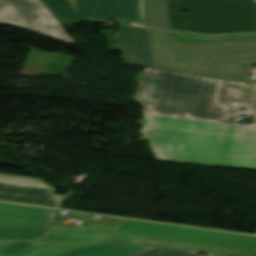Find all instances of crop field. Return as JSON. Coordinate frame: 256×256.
Returning a JSON list of instances; mask_svg holds the SVG:
<instances>
[{
    "label": "crop field",
    "instance_id": "8a807250",
    "mask_svg": "<svg viewBox=\"0 0 256 256\" xmlns=\"http://www.w3.org/2000/svg\"><path fill=\"white\" fill-rule=\"evenodd\" d=\"M226 85L249 84L144 69L136 101L144 105L140 134L157 160L256 170V128L234 126L235 112L221 100ZM179 114L186 119H177Z\"/></svg>",
    "mask_w": 256,
    "mask_h": 256
},
{
    "label": "crop field",
    "instance_id": "ac0d7876",
    "mask_svg": "<svg viewBox=\"0 0 256 256\" xmlns=\"http://www.w3.org/2000/svg\"><path fill=\"white\" fill-rule=\"evenodd\" d=\"M118 30L123 64L254 83L247 67L256 64V41L171 45L170 31Z\"/></svg>",
    "mask_w": 256,
    "mask_h": 256
},
{
    "label": "crop field",
    "instance_id": "34b2d1b8",
    "mask_svg": "<svg viewBox=\"0 0 256 256\" xmlns=\"http://www.w3.org/2000/svg\"><path fill=\"white\" fill-rule=\"evenodd\" d=\"M42 241L116 242L238 256H247L256 248L254 236L127 219L120 228L91 224L75 229L51 225Z\"/></svg>",
    "mask_w": 256,
    "mask_h": 256
},
{
    "label": "crop field",
    "instance_id": "412701ff",
    "mask_svg": "<svg viewBox=\"0 0 256 256\" xmlns=\"http://www.w3.org/2000/svg\"><path fill=\"white\" fill-rule=\"evenodd\" d=\"M171 29L204 34L256 32L254 0H167ZM181 9L190 13L185 15Z\"/></svg>",
    "mask_w": 256,
    "mask_h": 256
},
{
    "label": "crop field",
    "instance_id": "f4fd0767",
    "mask_svg": "<svg viewBox=\"0 0 256 256\" xmlns=\"http://www.w3.org/2000/svg\"><path fill=\"white\" fill-rule=\"evenodd\" d=\"M59 24L80 19H118L170 29L166 0H75L77 12L67 0H39Z\"/></svg>",
    "mask_w": 256,
    "mask_h": 256
},
{
    "label": "crop field",
    "instance_id": "dd49c442",
    "mask_svg": "<svg viewBox=\"0 0 256 256\" xmlns=\"http://www.w3.org/2000/svg\"><path fill=\"white\" fill-rule=\"evenodd\" d=\"M0 24L75 44L38 0H0Z\"/></svg>",
    "mask_w": 256,
    "mask_h": 256
},
{
    "label": "crop field",
    "instance_id": "e52e79f7",
    "mask_svg": "<svg viewBox=\"0 0 256 256\" xmlns=\"http://www.w3.org/2000/svg\"><path fill=\"white\" fill-rule=\"evenodd\" d=\"M55 210L1 203L0 241H37Z\"/></svg>",
    "mask_w": 256,
    "mask_h": 256
},
{
    "label": "crop field",
    "instance_id": "d8731c3e",
    "mask_svg": "<svg viewBox=\"0 0 256 256\" xmlns=\"http://www.w3.org/2000/svg\"><path fill=\"white\" fill-rule=\"evenodd\" d=\"M54 190L41 180L0 174V201L55 208L63 196Z\"/></svg>",
    "mask_w": 256,
    "mask_h": 256
},
{
    "label": "crop field",
    "instance_id": "5a996713",
    "mask_svg": "<svg viewBox=\"0 0 256 256\" xmlns=\"http://www.w3.org/2000/svg\"><path fill=\"white\" fill-rule=\"evenodd\" d=\"M101 243L90 242H38L0 256H67Z\"/></svg>",
    "mask_w": 256,
    "mask_h": 256
},
{
    "label": "crop field",
    "instance_id": "3316defc",
    "mask_svg": "<svg viewBox=\"0 0 256 256\" xmlns=\"http://www.w3.org/2000/svg\"><path fill=\"white\" fill-rule=\"evenodd\" d=\"M148 249L151 247L104 243L70 256H132Z\"/></svg>",
    "mask_w": 256,
    "mask_h": 256
},
{
    "label": "crop field",
    "instance_id": "28ad6ade",
    "mask_svg": "<svg viewBox=\"0 0 256 256\" xmlns=\"http://www.w3.org/2000/svg\"><path fill=\"white\" fill-rule=\"evenodd\" d=\"M171 37H172V44L256 40V34L208 36V35H196L192 33L174 32V31H171Z\"/></svg>",
    "mask_w": 256,
    "mask_h": 256
},
{
    "label": "crop field",
    "instance_id": "d1516ede",
    "mask_svg": "<svg viewBox=\"0 0 256 256\" xmlns=\"http://www.w3.org/2000/svg\"><path fill=\"white\" fill-rule=\"evenodd\" d=\"M230 91H236L232 94ZM235 111H243L252 108L249 89L227 86L223 98Z\"/></svg>",
    "mask_w": 256,
    "mask_h": 256
},
{
    "label": "crop field",
    "instance_id": "22f410ed",
    "mask_svg": "<svg viewBox=\"0 0 256 256\" xmlns=\"http://www.w3.org/2000/svg\"><path fill=\"white\" fill-rule=\"evenodd\" d=\"M135 256H196L189 251L176 249L154 248Z\"/></svg>",
    "mask_w": 256,
    "mask_h": 256
},
{
    "label": "crop field",
    "instance_id": "cbeb9de0",
    "mask_svg": "<svg viewBox=\"0 0 256 256\" xmlns=\"http://www.w3.org/2000/svg\"><path fill=\"white\" fill-rule=\"evenodd\" d=\"M36 242H0V254L34 244Z\"/></svg>",
    "mask_w": 256,
    "mask_h": 256
},
{
    "label": "crop field",
    "instance_id": "5142ce71",
    "mask_svg": "<svg viewBox=\"0 0 256 256\" xmlns=\"http://www.w3.org/2000/svg\"><path fill=\"white\" fill-rule=\"evenodd\" d=\"M254 100H255V108H256V86H253Z\"/></svg>",
    "mask_w": 256,
    "mask_h": 256
},
{
    "label": "crop field",
    "instance_id": "d9b57169",
    "mask_svg": "<svg viewBox=\"0 0 256 256\" xmlns=\"http://www.w3.org/2000/svg\"><path fill=\"white\" fill-rule=\"evenodd\" d=\"M68 1H70V0H68ZM72 1H74V0H72ZM73 7H74V9L76 10V8H75V1H74V3H70Z\"/></svg>",
    "mask_w": 256,
    "mask_h": 256
},
{
    "label": "crop field",
    "instance_id": "733c2abd",
    "mask_svg": "<svg viewBox=\"0 0 256 256\" xmlns=\"http://www.w3.org/2000/svg\"><path fill=\"white\" fill-rule=\"evenodd\" d=\"M132 25H138V26H144V27H146L145 25H139V24H132Z\"/></svg>",
    "mask_w": 256,
    "mask_h": 256
},
{
    "label": "crop field",
    "instance_id": "4a817a6b",
    "mask_svg": "<svg viewBox=\"0 0 256 256\" xmlns=\"http://www.w3.org/2000/svg\"><path fill=\"white\" fill-rule=\"evenodd\" d=\"M251 256H256V251Z\"/></svg>",
    "mask_w": 256,
    "mask_h": 256
},
{
    "label": "crop field",
    "instance_id": "bc2a9ffb",
    "mask_svg": "<svg viewBox=\"0 0 256 256\" xmlns=\"http://www.w3.org/2000/svg\"><path fill=\"white\" fill-rule=\"evenodd\" d=\"M238 125H241V126H248V125H242V124H238Z\"/></svg>",
    "mask_w": 256,
    "mask_h": 256
}]
</instances>
